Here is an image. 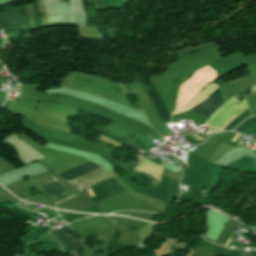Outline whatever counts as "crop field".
Instances as JSON below:
<instances>
[{
  "mask_svg": "<svg viewBox=\"0 0 256 256\" xmlns=\"http://www.w3.org/2000/svg\"><path fill=\"white\" fill-rule=\"evenodd\" d=\"M101 166H98L92 162H89L87 164H84L80 167H77L75 169H72L70 171H67L63 174L58 175L63 181L68 182L74 178H77L83 174H86L92 170H95Z\"/></svg>",
  "mask_w": 256,
  "mask_h": 256,
  "instance_id": "dd49c442",
  "label": "crop field"
},
{
  "mask_svg": "<svg viewBox=\"0 0 256 256\" xmlns=\"http://www.w3.org/2000/svg\"><path fill=\"white\" fill-rule=\"evenodd\" d=\"M93 189L95 194L91 195V197L95 202L100 201L116 193H119L122 190L112 180H109L104 184L93 187ZM93 189H90L91 194L94 193Z\"/></svg>",
  "mask_w": 256,
  "mask_h": 256,
  "instance_id": "412701ff",
  "label": "crop field"
},
{
  "mask_svg": "<svg viewBox=\"0 0 256 256\" xmlns=\"http://www.w3.org/2000/svg\"><path fill=\"white\" fill-rule=\"evenodd\" d=\"M54 238L63 246V253L78 256V241L63 231L62 228L51 232Z\"/></svg>",
  "mask_w": 256,
  "mask_h": 256,
  "instance_id": "34b2d1b8",
  "label": "crop field"
},
{
  "mask_svg": "<svg viewBox=\"0 0 256 256\" xmlns=\"http://www.w3.org/2000/svg\"><path fill=\"white\" fill-rule=\"evenodd\" d=\"M245 110V109H244ZM241 113V112H240ZM239 113V114H240ZM238 114V115H239ZM237 115V116H238ZM249 116H251V114H250V112H249V110H248V108L244 111V112H242L238 117H236L233 121H229L230 123L225 127V129L224 130H231V129H233L234 127H236L238 124H240L245 118H247V117H249Z\"/></svg>",
  "mask_w": 256,
  "mask_h": 256,
  "instance_id": "d8731c3e",
  "label": "crop field"
},
{
  "mask_svg": "<svg viewBox=\"0 0 256 256\" xmlns=\"http://www.w3.org/2000/svg\"><path fill=\"white\" fill-rule=\"evenodd\" d=\"M237 135H238V134H237ZM235 136H236V135H235ZM236 137H237V136H236ZM236 137H235V138H236ZM235 138H234V139H235ZM232 140H233V139H232ZM233 141H234V140H233Z\"/></svg>",
  "mask_w": 256,
  "mask_h": 256,
  "instance_id": "cbeb9de0",
  "label": "crop field"
},
{
  "mask_svg": "<svg viewBox=\"0 0 256 256\" xmlns=\"http://www.w3.org/2000/svg\"><path fill=\"white\" fill-rule=\"evenodd\" d=\"M37 185L52 199L56 204L75 197L60 182L51 175L35 181Z\"/></svg>",
  "mask_w": 256,
  "mask_h": 256,
  "instance_id": "8a807250",
  "label": "crop field"
},
{
  "mask_svg": "<svg viewBox=\"0 0 256 256\" xmlns=\"http://www.w3.org/2000/svg\"><path fill=\"white\" fill-rule=\"evenodd\" d=\"M251 93H252L251 88H248L247 90L243 91V94H244L245 97L248 96Z\"/></svg>",
  "mask_w": 256,
  "mask_h": 256,
  "instance_id": "3316defc",
  "label": "crop field"
},
{
  "mask_svg": "<svg viewBox=\"0 0 256 256\" xmlns=\"http://www.w3.org/2000/svg\"><path fill=\"white\" fill-rule=\"evenodd\" d=\"M194 135V134H193ZM193 135H190V137L192 138V139H194L196 142H201L202 140H200V139H198L197 137H195V136H193ZM197 136V135H196Z\"/></svg>",
  "mask_w": 256,
  "mask_h": 256,
  "instance_id": "28ad6ade",
  "label": "crop field"
},
{
  "mask_svg": "<svg viewBox=\"0 0 256 256\" xmlns=\"http://www.w3.org/2000/svg\"><path fill=\"white\" fill-rule=\"evenodd\" d=\"M96 130L102 132L103 134H105V135H107V136H109L111 138L119 140V141L125 143L126 145H128V146H130L132 148H135V149H138V150H142V151H149L147 148H144L138 142L134 141L130 137H128V136H126V135H124V134H122L120 132H117V131H114V130H111V129H108V128H103V127H100V126H98L96 128Z\"/></svg>",
  "mask_w": 256,
  "mask_h": 256,
  "instance_id": "f4fd0767",
  "label": "crop field"
},
{
  "mask_svg": "<svg viewBox=\"0 0 256 256\" xmlns=\"http://www.w3.org/2000/svg\"><path fill=\"white\" fill-rule=\"evenodd\" d=\"M147 94L150 96V98L152 99L159 115L161 116V118L164 120V122L169 121L170 120V116L167 112V110L165 109L157 91L153 88L149 89L148 91H146ZM171 122V121H169ZM166 122L165 124L169 123Z\"/></svg>",
  "mask_w": 256,
  "mask_h": 256,
  "instance_id": "e52e79f7",
  "label": "crop field"
},
{
  "mask_svg": "<svg viewBox=\"0 0 256 256\" xmlns=\"http://www.w3.org/2000/svg\"><path fill=\"white\" fill-rule=\"evenodd\" d=\"M223 104L218 89L214 90L212 94L204 101L197 104L190 111L210 117L212 113Z\"/></svg>",
  "mask_w": 256,
  "mask_h": 256,
  "instance_id": "ac0d7876",
  "label": "crop field"
},
{
  "mask_svg": "<svg viewBox=\"0 0 256 256\" xmlns=\"http://www.w3.org/2000/svg\"><path fill=\"white\" fill-rule=\"evenodd\" d=\"M98 7L103 6L101 0H96Z\"/></svg>",
  "mask_w": 256,
  "mask_h": 256,
  "instance_id": "d1516ede",
  "label": "crop field"
},
{
  "mask_svg": "<svg viewBox=\"0 0 256 256\" xmlns=\"http://www.w3.org/2000/svg\"><path fill=\"white\" fill-rule=\"evenodd\" d=\"M255 120H256V117H251V118L246 119L237 129H235V131L240 132L241 130H243L245 127H247L249 124H251Z\"/></svg>",
  "mask_w": 256,
  "mask_h": 256,
  "instance_id": "5a996713",
  "label": "crop field"
},
{
  "mask_svg": "<svg viewBox=\"0 0 256 256\" xmlns=\"http://www.w3.org/2000/svg\"><path fill=\"white\" fill-rule=\"evenodd\" d=\"M230 241V238H229V240H228V242ZM228 242H227V244H228ZM227 244H226V246H227Z\"/></svg>",
  "mask_w": 256,
  "mask_h": 256,
  "instance_id": "22f410ed",
  "label": "crop field"
}]
</instances>
